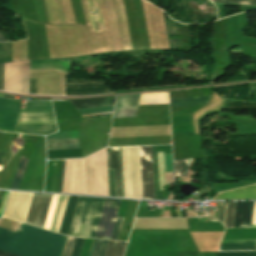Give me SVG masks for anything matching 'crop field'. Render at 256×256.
Instances as JSON below:
<instances>
[{
    "label": "crop field",
    "mask_w": 256,
    "mask_h": 256,
    "mask_svg": "<svg viewBox=\"0 0 256 256\" xmlns=\"http://www.w3.org/2000/svg\"><path fill=\"white\" fill-rule=\"evenodd\" d=\"M158 161H159L160 188L162 190L163 189L162 185H165L163 153H158Z\"/></svg>",
    "instance_id": "31"
},
{
    "label": "crop field",
    "mask_w": 256,
    "mask_h": 256,
    "mask_svg": "<svg viewBox=\"0 0 256 256\" xmlns=\"http://www.w3.org/2000/svg\"><path fill=\"white\" fill-rule=\"evenodd\" d=\"M193 158L174 161L175 176H187Z\"/></svg>",
    "instance_id": "24"
},
{
    "label": "crop field",
    "mask_w": 256,
    "mask_h": 256,
    "mask_svg": "<svg viewBox=\"0 0 256 256\" xmlns=\"http://www.w3.org/2000/svg\"><path fill=\"white\" fill-rule=\"evenodd\" d=\"M102 240L94 239L89 256H98Z\"/></svg>",
    "instance_id": "36"
},
{
    "label": "crop field",
    "mask_w": 256,
    "mask_h": 256,
    "mask_svg": "<svg viewBox=\"0 0 256 256\" xmlns=\"http://www.w3.org/2000/svg\"><path fill=\"white\" fill-rule=\"evenodd\" d=\"M29 93L37 94V78H30Z\"/></svg>",
    "instance_id": "38"
},
{
    "label": "crop field",
    "mask_w": 256,
    "mask_h": 256,
    "mask_svg": "<svg viewBox=\"0 0 256 256\" xmlns=\"http://www.w3.org/2000/svg\"><path fill=\"white\" fill-rule=\"evenodd\" d=\"M76 238L68 237L63 256H71Z\"/></svg>",
    "instance_id": "33"
},
{
    "label": "crop field",
    "mask_w": 256,
    "mask_h": 256,
    "mask_svg": "<svg viewBox=\"0 0 256 256\" xmlns=\"http://www.w3.org/2000/svg\"><path fill=\"white\" fill-rule=\"evenodd\" d=\"M110 196H116L114 170L109 169Z\"/></svg>",
    "instance_id": "35"
},
{
    "label": "crop field",
    "mask_w": 256,
    "mask_h": 256,
    "mask_svg": "<svg viewBox=\"0 0 256 256\" xmlns=\"http://www.w3.org/2000/svg\"><path fill=\"white\" fill-rule=\"evenodd\" d=\"M226 202H220L218 220L223 223Z\"/></svg>",
    "instance_id": "39"
},
{
    "label": "crop field",
    "mask_w": 256,
    "mask_h": 256,
    "mask_svg": "<svg viewBox=\"0 0 256 256\" xmlns=\"http://www.w3.org/2000/svg\"><path fill=\"white\" fill-rule=\"evenodd\" d=\"M256 249V239L223 240L220 250Z\"/></svg>",
    "instance_id": "19"
},
{
    "label": "crop field",
    "mask_w": 256,
    "mask_h": 256,
    "mask_svg": "<svg viewBox=\"0 0 256 256\" xmlns=\"http://www.w3.org/2000/svg\"><path fill=\"white\" fill-rule=\"evenodd\" d=\"M109 168L115 169L117 196L121 197L118 148H107Z\"/></svg>",
    "instance_id": "21"
},
{
    "label": "crop field",
    "mask_w": 256,
    "mask_h": 256,
    "mask_svg": "<svg viewBox=\"0 0 256 256\" xmlns=\"http://www.w3.org/2000/svg\"><path fill=\"white\" fill-rule=\"evenodd\" d=\"M112 108H113V106L100 107V108H90V109H81V110H78V112L81 115H86V114H94V113H101V112H109V111H112Z\"/></svg>",
    "instance_id": "29"
},
{
    "label": "crop field",
    "mask_w": 256,
    "mask_h": 256,
    "mask_svg": "<svg viewBox=\"0 0 256 256\" xmlns=\"http://www.w3.org/2000/svg\"><path fill=\"white\" fill-rule=\"evenodd\" d=\"M0 42H6L5 38L0 33Z\"/></svg>",
    "instance_id": "46"
},
{
    "label": "crop field",
    "mask_w": 256,
    "mask_h": 256,
    "mask_svg": "<svg viewBox=\"0 0 256 256\" xmlns=\"http://www.w3.org/2000/svg\"><path fill=\"white\" fill-rule=\"evenodd\" d=\"M66 236L22 224L15 233L0 228V250L20 256H61ZM0 251V256H17Z\"/></svg>",
    "instance_id": "1"
},
{
    "label": "crop field",
    "mask_w": 256,
    "mask_h": 256,
    "mask_svg": "<svg viewBox=\"0 0 256 256\" xmlns=\"http://www.w3.org/2000/svg\"><path fill=\"white\" fill-rule=\"evenodd\" d=\"M26 112H53L51 102H28Z\"/></svg>",
    "instance_id": "26"
},
{
    "label": "crop field",
    "mask_w": 256,
    "mask_h": 256,
    "mask_svg": "<svg viewBox=\"0 0 256 256\" xmlns=\"http://www.w3.org/2000/svg\"><path fill=\"white\" fill-rule=\"evenodd\" d=\"M64 165H65V160H63V165H62V175H61V183H60V189H59V192H62L63 176H64Z\"/></svg>",
    "instance_id": "42"
},
{
    "label": "crop field",
    "mask_w": 256,
    "mask_h": 256,
    "mask_svg": "<svg viewBox=\"0 0 256 256\" xmlns=\"http://www.w3.org/2000/svg\"><path fill=\"white\" fill-rule=\"evenodd\" d=\"M252 222H256V202H254Z\"/></svg>",
    "instance_id": "43"
},
{
    "label": "crop field",
    "mask_w": 256,
    "mask_h": 256,
    "mask_svg": "<svg viewBox=\"0 0 256 256\" xmlns=\"http://www.w3.org/2000/svg\"><path fill=\"white\" fill-rule=\"evenodd\" d=\"M33 193L11 192L4 216L25 221Z\"/></svg>",
    "instance_id": "9"
},
{
    "label": "crop field",
    "mask_w": 256,
    "mask_h": 256,
    "mask_svg": "<svg viewBox=\"0 0 256 256\" xmlns=\"http://www.w3.org/2000/svg\"><path fill=\"white\" fill-rule=\"evenodd\" d=\"M112 92L103 80H65V95H82Z\"/></svg>",
    "instance_id": "11"
},
{
    "label": "crop field",
    "mask_w": 256,
    "mask_h": 256,
    "mask_svg": "<svg viewBox=\"0 0 256 256\" xmlns=\"http://www.w3.org/2000/svg\"><path fill=\"white\" fill-rule=\"evenodd\" d=\"M114 98H115V96H111V97H104V98L73 100L71 102L75 106L76 109H81V108L113 105Z\"/></svg>",
    "instance_id": "18"
},
{
    "label": "crop field",
    "mask_w": 256,
    "mask_h": 256,
    "mask_svg": "<svg viewBox=\"0 0 256 256\" xmlns=\"http://www.w3.org/2000/svg\"><path fill=\"white\" fill-rule=\"evenodd\" d=\"M256 198V185L245 188H240L232 191L219 193L213 200L216 199H252Z\"/></svg>",
    "instance_id": "16"
},
{
    "label": "crop field",
    "mask_w": 256,
    "mask_h": 256,
    "mask_svg": "<svg viewBox=\"0 0 256 256\" xmlns=\"http://www.w3.org/2000/svg\"><path fill=\"white\" fill-rule=\"evenodd\" d=\"M84 238H77L72 256H79ZM85 240V239H84Z\"/></svg>",
    "instance_id": "37"
},
{
    "label": "crop field",
    "mask_w": 256,
    "mask_h": 256,
    "mask_svg": "<svg viewBox=\"0 0 256 256\" xmlns=\"http://www.w3.org/2000/svg\"><path fill=\"white\" fill-rule=\"evenodd\" d=\"M143 199H155L151 146L140 147Z\"/></svg>",
    "instance_id": "8"
},
{
    "label": "crop field",
    "mask_w": 256,
    "mask_h": 256,
    "mask_svg": "<svg viewBox=\"0 0 256 256\" xmlns=\"http://www.w3.org/2000/svg\"><path fill=\"white\" fill-rule=\"evenodd\" d=\"M211 1L212 2H219V3L256 5V0H211Z\"/></svg>",
    "instance_id": "32"
},
{
    "label": "crop field",
    "mask_w": 256,
    "mask_h": 256,
    "mask_svg": "<svg viewBox=\"0 0 256 256\" xmlns=\"http://www.w3.org/2000/svg\"><path fill=\"white\" fill-rule=\"evenodd\" d=\"M69 59H48L30 61V70L55 68L68 71ZM29 61L5 64L4 90L28 93Z\"/></svg>",
    "instance_id": "3"
},
{
    "label": "crop field",
    "mask_w": 256,
    "mask_h": 256,
    "mask_svg": "<svg viewBox=\"0 0 256 256\" xmlns=\"http://www.w3.org/2000/svg\"><path fill=\"white\" fill-rule=\"evenodd\" d=\"M21 102L0 98V129L14 132Z\"/></svg>",
    "instance_id": "12"
},
{
    "label": "crop field",
    "mask_w": 256,
    "mask_h": 256,
    "mask_svg": "<svg viewBox=\"0 0 256 256\" xmlns=\"http://www.w3.org/2000/svg\"><path fill=\"white\" fill-rule=\"evenodd\" d=\"M236 202H227L225 222L226 228H233Z\"/></svg>",
    "instance_id": "27"
},
{
    "label": "crop field",
    "mask_w": 256,
    "mask_h": 256,
    "mask_svg": "<svg viewBox=\"0 0 256 256\" xmlns=\"http://www.w3.org/2000/svg\"><path fill=\"white\" fill-rule=\"evenodd\" d=\"M4 64L0 65V89L3 90Z\"/></svg>",
    "instance_id": "41"
},
{
    "label": "crop field",
    "mask_w": 256,
    "mask_h": 256,
    "mask_svg": "<svg viewBox=\"0 0 256 256\" xmlns=\"http://www.w3.org/2000/svg\"><path fill=\"white\" fill-rule=\"evenodd\" d=\"M79 131L57 132L46 139L77 138ZM78 140V138H77ZM76 139L46 140L47 150L79 148ZM79 143V141H78Z\"/></svg>",
    "instance_id": "13"
},
{
    "label": "crop field",
    "mask_w": 256,
    "mask_h": 256,
    "mask_svg": "<svg viewBox=\"0 0 256 256\" xmlns=\"http://www.w3.org/2000/svg\"><path fill=\"white\" fill-rule=\"evenodd\" d=\"M119 156H120V172H121V189H122V197H124L121 147L119 148Z\"/></svg>",
    "instance_id": "40"
},
{
    "label": "crop field",
    "mask_w": 256,
    "mask_h": 256,
    "mask_svg": "<svg viewBox=\"0 0 256 256\" xmlns=\"http://www.w3.org/2000/svg\"><path fill=\"white\" fill-rule=\"evenodd\" d=\"M206 217H207L208 219H210L211 221H216V220L213 219L209 214H207Z\"/></svg>",
    "instance_id": "47"
},
{
    "label": "crop field",
    "mask_w": 256,
    "mask_h": 256,
    "mask_svg": "<svg viewBox=\"0 0 256 256\" xmlns=\"http://www.w3.org/2000/svg\"><path fill=\"white\" fill-rule=\"evenodd\" d=\"M152 152H153V166H154V179H155V193L157 192L160 196L159 200H163L162 193L159 189V180H158V166H157V152H156V146H152ZM156 199L157 195H156Z\"/></svg>",
    "instance_id": "28"
},
{
    "label": "crop field",
    "mask_w": 256,
    "mask_h": 256,
    "mask_svg": "<svg viewBox=\"0 0 256 256\" xmlns=\"http://www.w3.org/2000/svg\"><path fill=\"white\" fill-rule=\"evenodd\" d=\"M210 96L170 100L171 107L206 104Z\"/></svg>",
    "instance_id": "23"
},
{
    "label": "crop field",
    "mask_w": 256,
    "mask_h": 256,
    "mask_svg": "<svg viewBox=\"0 0 256 256\" xmlns=\"http://www.w3.org/2000/svg\"><path fill=\"white\" fill-rule=\"evenodd\" d=\"M104 200L80 197L68 235L94 238Z\"/></svg>",
    "instance_id": "4"
},
{
    "label": "crop field",
    "mask_w": 256,
    "mask_h": 256,
    "mask_svg": "<svg viewBox=\"0 0 256 256\" xmlns=\"http://www.w3.org/2000/svg\"><path fill=\"white\" fill-rule=\"evenodd\" d=\"M5 154H6V153L0 152V165L3 164Z\"/></svg>",
    "instance_id": "45"
},
{
    "label": "crop field",
    "mask_w": 256,
    "mask_h": 256,
    "mask_svg": "<svg viewBox=\"0 0 256 256\" xmlns=\"http://www.w3.org/2000/svg\"><path fill=\"white\" fill-rule=\"evenodd\" d=\"M208 191H210V189H208V188H206L205 190H203V191L200 193V195L196 198V200H200V198H201L204 194H206Z\"/></svg>",
    "instance_id": "44"
},
{
    "label": "crop field",
    "mask_w": 256,
    "mask_h": 256,
    "mask_svg": "<svg viewBox=\"0 0 256 256\" xmlns=\"http://www.w3.org/2000/svg\"><path fill=\"white\" fill-rule=\"evenodd\" d=\"M123 219L124 218H120V217L116 218V222H115V226H114V230H113V234H112L111 239H114V240L118 239V235H119V232H120V228H121Z\"/></svg>",
    "instance_id": "34"
},
{
    "label": "crop field",
    "mask_w": 256,
    "mask_h": 256,
    "mask_svg": "<svg viewBox=\"0 0 256 256\" xmlns=\"http://www.w3.org/2000/svg\"><path fill=\"white\" fill-rule=\"evenodd\" d=\"M253 202H237L234 228L251 227Z\"/></svg>",
    "instance_id": "15"
},
{
    "label": "crop field",
    "mask_w": 256,
    "mask_h": 256,
    "mask_svg": "<svg viewBox=\"0 0 256 256\" xmlns=\"http://www.w3.org/2000/svg\"><path fill=\"white\" fill-rule=\"evenodd\" d=\"M125 197L142 199L139 147H122Z\"/></svg>",
    "instance_id": "5"
},
{
    "label": "crop field",
    "mask_w": 256,
    "mask_h": 256,
    "mask_svg": "<svg viewBox=\"0 0 256 256\" xmlns=\"http://www.w3.org/2000/svg\"><path fill=\"white\" fill-rule=\"evenodd\" d=\"M55 131L53 113H20L15 132L47 135Z\"/></svg>",
    "instance_id": "6"
},
{
    "label": "crop field",
    "mask_w": 256,
    "mask_h": 256,
    "mask_svg": "<svg viewBox=\"0 0 256 256\" xmlns=\"http://www.w3.org/2000/svg\"><path fill=\"white\" fill-rule=\"evenodd\" d=\"M215 254L216 256H256V251L221 252Z\"/></svg>",
    "instance_id": "30"
},
{
    "label": "crop field",
    "mask_w": 256,
    "mask_h": 256,
    "mask_svg": "<svg viewBox=\"0 0 256 256\" xmlns=\"http://www.w3.org/2000/svg\"><path fill=\"white\" fill-rule=\"evenodd\" d=\"M84 168L86 193L108 195L106 149L85 159ZM84 168L83 159L66 160L63 192L85 194Z\"/></svg>",
    "instance_id": "2"
},
{
    "label": "crop field",
    "mask_w": 256,
    "mask_h": 256,
    "mask_svg": "<svg viewBox=\"0 0 256 256\" xmlns=\"http://www.w3.org/2000/svg\"><path fill=\"white\" fill-rule=\"evenodd\" d=\"M78 197L76 196H69L68 201L65 207V211L62 217V221L59 227V233L68 234L69 226L71 223V219L74 213V209L77 203Z\"/></svg>",
    "instance_id": "17"
},
{
    "label": "crop field",
    "mask_w": 256,
    "mask_h": 256,
    "mask_svg": "<svg viewBox=\"0 0 256 256\" xmlns=\"http://www.w3.org/2000/svg\"><path fill=\"white\" fill-rule=\"evenodd\" d=\"M121 200L106 199L95 238L110 239Z\"/></svg>",
    "instance_id": "10"
},
{
    "label": "crop field",
    "mask_w": 256,
    "mask_h": 256,
    "mask_svg": "<svg viewBox=\"0 0 256 256\" xmlns=\"http://www.w3.org/2000/svg\"><path fill=\"white\" fill-rule=\"evenodd\" d=\"M169 103L168 92L141 94L139 105Z\"/></svg>",
    "instance_id": "22"
},
{
    "label": "crop field",
    "mask_w": 256,
    "mask_h": 256,
    "mask_svg": "<svg viewBox=\"0 0 256 256\" xmlns=\"http://www.w3.org/2000/svg\"><path fill=\"white\" fill-rule=\"evenodd\" d=\"M107 242L103 240L99 256H104ZM127 242L109 241L105 256H123Z\"/></svg>",
    "instance_id": "20"
},
{
    "label": "crop field",
    "mask_w": 256,
    "mask_h": 256,
    "mask_svg": "<svg viewBox=\"0 0 256 256\" xmlns=\"http://www.w3.org/2000/svg\"><path fill=\"white\" fill-rule=\"evenodd\" d=\"M140 95L117 97L113 118L136 117Z\"/></svg>",
    "instance_id": "14"
},
{
    "label": "crop field",
    "mask_w": 256,
    "mask_h": 256,
    "mask_svg": "<svg viewBox=\"0 0 256 256\" xmlns=\"http://www.w3.org/2000/svg\"><path fill=\"white\" fill-rule=\"evenodd\" d=\"M30 157L22 156L10 189H18Z\"/></svg>",
    "instance_id": "25"
},
{
    "label": "crop field",
    "mask_w": 256,
    "mask_h": 256,
    "mask_svg": "<svg viewBox=\"0 0 256 256\" xmlns=\"http://www.w3.org/2000/svg\"><path fill=\"white\" fill-rule=\"evenodd\" d=\"M52 196L34 193L25 222L43 228Z\"/></svg>",
    "instance_id": "7"
}]
</instances>
